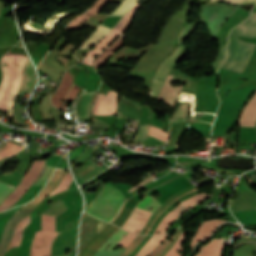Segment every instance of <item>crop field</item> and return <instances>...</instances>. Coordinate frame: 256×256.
<instances>
[{
	"label": "crop field",
	"instance_id": "1",
	"mask_svg": "<svg viewBox=\"0 0 256 256\" xmlns=\"http://www.w3.org/2000/svg\"><path fill=\"white\" fill-rule=\"evenodd\" d=\"M27 60L28 57L9 51L1 59L4 79L0 86V110L7 111L8 116L11 117L14 97L19 90L23 67ZM6 63L9 65L6 66Z\"/></svg>",
	"mask_w": 256,
	"mask_h": 256
},
{
	"label": "crop field",
	"instance_id": "2",
	"mask_svg": "<svg viewBox=\"0 0 256 256\" xmlns=\"http://www.w3.org/2000/svg\"><path fill=\"white\" fill-rule=\"evenodd\" d=\"M126 200V197L118 189L106 183L100 194L85 211L110 222L119 213Z\"/></svg>",
	"mask_w": 256,
	"mask_h": 256
},
{
	"label": "crop field",
	"instance_id": "3",
	"mask_svg": "<svg viewBox=\"0 0 256 256\" xmlns=\"http://www.w3.org/2000/svg\"><path fill=\"white\" fill-rule=\"evenodd\" d=\"M237 37L235 35L231 36L228 55L221 68L241 73L256 44L239 40Z\"/></svg>",
	"mask_w": 256,
	"mask_h": 256
},
{
	"label": "crop field",
	"instance_id": "4",
	"mask_svg": "<svg viewBox=\"0 0 256 256\" xmlns=\"http://www.w3.org/2000/svg\"><path fill=\"white\" fill-rule=\"evenodd\" d=\"M140 6L141 5L136 4L128 11L120 22L98 44L88 51L82 62L92 65L93 58L110 45L128 27L133 11Z\"/></svg>",
	"mask_w": 256,
	"mask_h": 256
},
{
	"label": "crop field",
	"instance_id": "5",
	"mask_svg": "<svg viewBox=\"0 0 256 256\" xmlns=\"http://www.w3.org/2000/svg\"><path fill=\"white\" fill-rule=\"evenodd\" d=\"M152 198L147 196L143 199L141 203L137 206L133 214L130 216V218L127 220V222L124 224L123 229L127 230L128 227L133 223V221L136 219L137 215L140 213V211L143 209V207L151 200ZM162 204L158 203L155 200H151L142 210L138 218L148 221L151 214ZM152 207V210L149 211V208ZM136 219L135 222L130 226L128 231L139 234L141 228L144 226L146 221ZM143 229V228H142Z\"/></svg>",
	"mask_w": 256,
	"mask_h": 256
},
{
	"label": "crop field",
	"instance_id": "6",
	"mask_svg": "<svg viewBox=\"0 0 256 256\" xmlns=\"http://www.w3.org/2000/svg\"><path fill=\"white\" fill-rule=\"evenodd\" d=\"M211 195H208L204 192L189 198L187 200H184L180 202L179 206L174 209L173 211L169 212L165 218L160 222V224L157 226L154 234H156L158 231H161L160 234H166L169 227L173 224V222L186 210L189 208L201 203L206 198L210 197Z\"/></svg>",
	"mask_w": 256,
	"mask_h": 256
},
{
	"label": "crop field",
	"instance_id": "7",
	"mask_svg": "<svg viewBox=\"0 0 256 256\" xmlns=\"http://www.w3.org/2000/svg\"><path fill=\"white\" fill-rule=\"evenodd\" d=\"M45 161H35L31 170L27 173L24 179L20 182L14 192L8 196L2 205H0V211L6 210L11 205L17 202V200L26 192L35 178L38 176L39 172L41 171Z\"/></svg>",
	"mask_w": 256,
	"mask_h": 256
},
{
	"label": "crop field",
	"instance_id": "8",
	"mask_svg": "<svg viewBox=\"0 0 256 256\" xmlns=\"http://www.w3.org/2000/svg\"><path fill=\"white\" fill-rule=\"evenodd\" d=\"M82 225H84L85 230H89V237H82ZM107 223L96 219L87 213H84L82 223H81V233H80V243H79V254L85 248L86 244L101 230ZM83 236H88V231H84ZM78 254V256H79Z\"/></svg>",
	"mask_w": 256,
	"mask_h": 256
},
{
	"label": "crop field",
	"instance_id": "9",
	"mask_svg": "<svg viewBox=\"0 0 256 256\" xmlns=\"http://www.w3.org/2000/svg\"><path fill=\"white\" fill-rule=\"evenodd\" d=\"M34 208L17 211L5 226L0 242V256H4L5 250L12 238L14 228L18 222L25 218Z\"/></svg>",
	"mask_w": 256,
	"mask_h": 256
},
{
	"label": "crop field",
	"instance_id": "10",
	"mask_svg": "<svg viewBox=\"0 0 256 256\" xmlns=\"http://www.w3.org/2000/svg\"><path fill=\"white\" fill-rule=\"evenodd\" d=\"M49 232L45 231H38L35 233L34 241L31 247V255L30 256H41V251L42 248L36 249L35 247L37 246H42L43 240L45 236ZM58 233H49L44 241L43 244V251H42V256H50V249H51V243L54 240Z\"/></svg>",
	"mask_w": 256,
	"mask_h": 256
},
{
	"label": "crop field",
	"instance_id": "11",
	"mask_svg": "<svg viewBox=\"0 0 256 256\" xmlns=\"http://www.w3.org/2000/svg\"><path fill=\"white\" fill-rule=\"evenodd\" d=\"M100 94L101 93L98 94L97 99L94 103V114L95 115H115V114H97ZM117 100H118V95L113 91H109L108 94L102 93L98 113H115Z\"/></svg>",
	"mask_w": 256,
	"mask_h": 256
},
{
	"label": "crop field",
	"instance_id": "12",
	"mask_svg": "<svg viewBox=\"0 0 256 256\" xmlns=\"http://www.w3.org/2000/svg\"><path fill=\"white\" fill-rule=\"evenodd\" d=\"M65 173L64 169H56L49 180V182L46 184V186L42 189V191L38 194V196L31 202L27 203L24 208L29 207H37V205L50 193V191L56 186L62 175ZM62 179V178H61ZM60 182V181H59ZM58 185V184H57Z\"/></svg>",
	"mask_w": 256,
	"mask_h": 256
},
{
	"label": "crop field",
	"instance_id": "13",
	"mask_svg": "<svg viewBox=\"0 0 256 256\" xmlns=\"http://www.w3.org/2000/svg\"><path fill=\"white\" fill-rule=\"evenodd\" d=\"M173 77L174 76L172 75H168L157 98V100H164L165 102H167L169 105H172V106L184 85L182 84L180 87H176V88L171 87L169 84L172 82Z\"/></svg>",
	"mask_w": 256,
	"mask_h": 256
},
{
	"label": "crop field",
	"instance_id": "14",
	"mask_svg": "<svg viewBox=\"0 0 256 256\" xmlns=\"http://www.w3.org/2000/svg\"><path fill=\"white\" fill-rule=\"evenodd\" d=\"M96 93H89L80 96L76 104V114L78 118H91V108Z\"/></svg>",
	"mask_w": 256,
	"mask_h": 256
},
{
	"label": "crop field",
	"instance_id": "15",
	"mask_svg": "<svg viewBox=\"0 0 256 256\" xmlns=\"http://www.w3.org/2000/svg\"><path fill=\"white\" fill-rule=\"evenodd\" d=\"M256 122V93L246 105L239 121V126L254 127Z\"/></svg>",
	"mask_w": 256,
	"mask_h": 256
},
{
	"label": "crop field",
	"instance_id": "16",
	"mask_svg": "<svg viewBox=\"0 0 256 256\" xmlns=\"http://www.w3.org/2000/svg\"><path fill=\"white\" fill-rule=\"evenodd\" d=\"M110 0H98L86 13L72 21L65 30L78 29L87 19L101 10Z\"/></svg>",
	"mask_w": 256,
	"mask_h": 256
},
{
	"label": "crop field",
	"instance_id": "17",
	"mask_svg": "<svg viewBox=\"0 0 256 256\" xmlns=\"http://www.w3.org/2000/svg\"><path fill=\"white\" fill-rule=\"evenodd\" d=\"M127 234V232L123 230L117 231L113 236H111L105 244L99 249L103 250L106 246L111 244L109 250L113 249V247ZM136 238V235L127 234L118 244L122 245L123 247H127L134 239Z\"/></svg>",
	"mask_w": 256,
	"mask_h": 256
},
{
	"label": "crop field",
	"instance_id": "18",
	"mask_svg": "<svg viewBox=\"0 0 256 256\" xmlns=\"http://www.w3.org/2000/svg\"><path fill=\"white\" fill-rule=\"evenodd\" d=\"M233 34L256 37V12L252 13L251 17L246 19L241 25H239Z\"/></svg>",
	"mask_w": 256,
	"mask_h": 256
},
{
	"label": "crop field",
	"instance_id": "19",
	"mask_svg": "<svg viewBox=\"0 0 256 256\" xmlns=\"http://www.w3.org/2000/svg\"><path fill=\"white\" fill-rule=\"evenodd\" d=\"M73 80L68 72V70L65 72L62 83L59 87V89L54 93V95L51 97V102L54 106L60 108L62 99L68 89L70 88Z\"/></svg>",
	"mask_w": 256,
	"mask_h": 256
},
{
	"label": "crop field",
	"instance_id": "20",
	"mask_svg": "<svg viewBox=\"0 0 256 256\" xmlns=\"http://www.w3.org/2000/svg\"><path fill=\"white\" fill-rule=\"evenodd\" d=\"M222 222H225V221L213 220V221L204 222L198 229L196 235L193 237L190 245L193 246L196 242L204 239Z\"/></svg>",
	"mask_w": 256,
	"mask_h": 256
},
{
	"label": "crop field",
	"instance_id": "21",
	"mask_svg": "<svg viewBox=\"0 0 256 256\" xmlns=\"http://www.w3.org/2000/svg\"><path fill=\"white\" fill-rule=\"evenodd\" d=\"M183 47L179 46L177 51L168 59L165 60V62L162 64L161 68L159 69L156 78L159 79H166V75L170 68L184 55L182 53Z\"/></svg>",
	"mask_w": 256,
	"mask_h": 256
},
{
	"label": "crop field",
	"instance_id": "22",
	"mask_svg": "<svg viewBox=\"0 0 256 256\" xmlns=\"http://www.w3.org/2000/svg\"><path fill=\"white\" fill-rule=\"evenodd\" d=\"M224 239H213L206 243L196 256H219Z\"/></svg>",
	"mask_w": 256,
	"mask_h": 256
},
{
	"label": "crop field",
	"instance_id": "23",
	"mask_svg": "<svg viewBox=\"0 0 256 256\" xmlns=\"http://www.w3.org/2000/svg\"><path fill=\"white\" fill-rule=\"evenodd\" d=\"M35 82H36L35 73L30 61L28 60V62L24 67V79L22 81L20 90L31 92Z\"/></svg>",
	"mask_w": 256,
	"mask_h": 256
},
{
	"label": "crop field",
	"instance_id": "24",
	"mask_svg": "<svg viewBox=\"0 0 256 256\" xmlns=\"http://www.w3.org/2000/svg\"><path fill=\"white\" fill-rule=\"evenodd\" d=\"M124 45L122 39H117L113 45L105 50L101 55L97 57L94 63V69L100 65H105L107 59L111 57L119 48Z\"/></svg>",
	"mask_w": 256,
	"mask_h": 256
},
{
	"label": "crop field",
	"instance_id": "25",
	"mask_svg": "<svg viewBox=\"0 0 256 256\" xmlns=\"http://www.w3.org/2000/svg\"><path fill=\"white\" fill-rule=\"evenodd\" d=\"M111 28L106 27L100 24L95 31L90 35V37L83 42L79 48L88 47L94 45L99 39H101L107 32H109Z\"/></svg>",
	"mask_w": 256,
	"mask_h": 256
},
{
	"label": "crop field",
	"instance_id": "26",
	"mask_svg": "<svg viewBox=\"0 0 256 256\" xmlns=\"http://www.w3.org/2000/svg\"><path fill=\"white\" fill-rule=\"evenodd\" d=\"M169 235V234H168ZM152 236L136 256H146L168 236Z\"/></svg>",
	"mask_w": 256,
	"mask_h": 256
},
{
	"label": "crop field",
	"instance_id": "27",
	"mask_svg": "<svg viewBox=\"0 0 256 256\" xmlns=\"http://www.w3.org/2000/svg\"><path fill=\"white\" fill-rule=\"evenodd\" d=\"M29 222H30V218L28 216L24 220H22L20 223H18V225L14 231L13 238H12L7 250H9L11 247L19 246L22 231L28 225Z\"/></svg>",
	"mask_w": 256,
	"mask_h": 256
},
{
	"label": "crop field",
	"instance_id": "28",
	"mask_svg": "<svg viewBox=\"0 0 256 256\" xmlns=\"http://www.w3.org/2000/svg\"><path fill=\"white\" fill-rule=\"evenodd\" d=\"M22 147L15 145L8 141L5 146L0 150V160L3 159L6 156H10L16 152H18Z\"/></svg>",
	"mask_w": 256,
	"mask_h": 256
},
{
	"label": "crop field",
	"instance_id": "29",
	"mask_svg": "<svg viewBox=\"0 0 256 256\" xmlns=\"http://www.w3.org/2000/svg\"><path fill=\"white\" fill-rule=\"evenodd\" d=\"M137 0H124L109 16H123Z\"/></svg>",
	"mask_w": 256,
	"mask_h": 256
},
{
	"label": "crop field",
	"instance_id": "30",
	"mask_svg": "<svg viewBox=\"0 0 256 256\" xmlns=\"http://www.w3.org/2000/svg\"><path fill=\"white\" fill-rule=\"evenodd\" d=\"M188 106L189 104H181L177 109V111L175 112V114L173 115L171 121H174V122L184 121L188 114V111H187Z\"/></svg>",
	"mask_w": 256,
	"mask_h": 256
},
{
	"label": "crop field",
	"instance_id": "31",
	"mask_svg": "<svg viewBox=\"0 0 256 256\" xmlns=\"http://www.w3.org/2000/svg\"><path fill=\"white\" fill-rule=\"evenodd\" d=\"M43 230L55 232L56 217L42 214Z\"/></svg>",
	"mask_w": 256,
	"mask_h": 256
},
{
	"label": "crop field",
	"instance_id": "32",
	"mask_svg": "<svg viewBox=\"0 0 256 256\" xmlns=\"http://www.w3.org/2000/svg\"><path fill=\"white\" fill-rule=\"evenodd\" d=\"M184 241V231L182 232V234L180 235V237L178 238V240L176 241L175 245L172 247V249L165 255V256H182V251H183V247H182V243ZM181 251V254H178V251Z\"/></svg>",
	"mask_w": 256,
	"mask_h": 256
},
{
	"label": "crop field",
	"instance_id": "33",
	"mask_svg": "<svg viewBox=\"0 0 256 256\" xmlns=\"http://www.w3.org/2000/svg\"><path fill=\"white\" fill-rule=\"evenodd\" d=\"M71 181H72V177L70 173L65 174L62 181L59 183L58 187L50 194V196L68 189Z\"/></svg>",
	"mask_w": 256,
	"mask_h": 256
},
{
	"label": "crop field",
	"instance_id": "34",
	"mask_svg": "<svg viewBox=\"0 0 256 256\" xmlns=\"http://www.w3.org/2000/svg\"><path fill=\"white\" fill-rule=\"evenodd\" d=\"M45 167H46V165L44 166V168L42 169L40 175L36 178V180L33 182L32 185H34L35 182L40 178V176L42 175V173H43ZM53 168H54V166L48 165L47 168H46V170H45V172H44V174H43V175L41 176V178L36 182L35 185H44L45 182L48 180V178H49V176H50V174H51ZM50 177H51V176H50Z\"/></svg>",
	"mask_w": 256,
	"mask_h": 256
},
{
	"label": "crop field",
	"instance_id": "35",
	"mask_svg": "<svg viewBox=\"0 0 256 256\" xmlns=\"http://www.w3.org/2000/svg\"><path fill=\"white\" fill-rule=\"evenodd\" d=\"M145 238V236H138L127 248L126 250L122 253L121 256H129L135 249L136 247L142 242V240Z\"/></svg>",
	"mask_w": 256,
	"mask_h": 256
},
{
	"label": "crop field",
	"instance_id": "36",
	"mask_svg": "<svg viewBox=\"0 0 256 256\" xmlns=\"http://www.w3.org/2000/svg\"><path fill=\"white\" fill-rule=\"evenodd\" d=\"M225 46H226V44H223V45L219 46L218 57L213 61L211 66H213V67H215L217 69L219 68L220 64L225 59Z\"/></svg>",
	"mask_w": 256,
	"mask_h": 256
},
{
	"label": "crop field",
	"instance_id": "37",
	"mask_svg": "<svg viewBox=\"0 0 256 256\" xmlns=\"http://www.w3.org/2000/svg\"><path fill=\"white\" fill-rule=\"evenodd\" d=\"M15 186L0 183V203L11 193Z\"/></svg>",
	"mask_w": 256,
	"mask_h": 256
},
{
	"label": "crop field",
	"instance_id": "38",
	"mask_svg": "<svg viewBox=\"0 0 256 256\" xmlns=\"http://www.w3.org/2000/svg\"><path fill=\"white\" fill-rule=\"evenodd\" d=\"M149 125H140L133 142H143Z\"/></svg>",
	"mask_w": 256,
	"mask_h": 256
},
{
	"label": "crop field",
	"instance_id": "39",
	"mask_svg": "<svg viewBox=\"0 0 256 256\" xmlns=\"http://www.w3.org/2000/svg\"><path fill=\"white\" fill-rule=\"evenodd\" d=\"M162 131H163V129H160V128L150 125L148 133L166 141L168 134L164 133Z\"/></svg>",
	"mask_w": 256,
	"mask_h": 256
},
{
	"label": "crop field",
	"instance_id": "40",
	"mask_svg": "<svg viewBox=\"0 0 256 256\" xmlns=\"http://www.w3.org/2000/svg\"><path fill=\"white\" fill-rule=\"evenodd\" d=\"M197 84H198L197 82H195V81H193V80L188 78V80H187V82H186V84H185V86H184L182 91L183 92H192V93L195 94Z\"/></svg>",
	"mask_w": 256,
	"mask_h": 256
},
{
	"label": "crop field",
	"instance_id": "41",
	"mask_svg": "<svg viewBox=\"0 0 256 256\" xmlns=\"http://www.w3.org/2000/svg\"><path fill=\"white\" fill-rule=\"evenodd\" d=\"M194 190H196V188H194V189H192V190H190V191H188V192H186V193H184V194H182V195L176 197V198L173 199L170 203H168V204L164 207V209L166 210L173 202H175L176 200L180 199L181 197L185 196L186 194H188V193H190V192H192V191H194ZM160 214H162V212H159V213L157 214L156 218L153 220V222L151 223L150 227L148 228L146 234H148V232L150 231V229L152 228V226L154 225V223L156 222V220L158 219V217H159Z\"/></svg>",
	"mask_w": 256,
	"mask_h": 256
},
{
	"label": "crop field",
	"instance_id": "42",
	"mask_svg": "<svg viewBox=\"0 0 256 256\" xmlns=\"http://www.w3.org/2000/svg\"><path fill=\"white\" fill-rule=\"evenodd\" d=\"M163 83H164V81H162V80H158V79L156 80V84L154 85V89L152 91V98L153 99L157 98V95H158Z\"/></svg>",
	"mask_w": 256,
	"mask_h": 256
},
{
	"label": "crop field",
	"instance_id": "43",
	"mask_svg": "<svg viewBox=\"0 0 256 256\" xmlns=\"http://www.w3.org/2000/svg\"><path fill=\"white\" fill-rule=\"evenodd\" d=\"M182 125H183V123L179 124L178 131H177L176 135H171L168 146H172V147L175 146L176 140H177V138H178V136H179V134L181 132Z\"/></svg>",
	"mask_w": 256,
	"mask_h": 256
},
{
	"label": "crop field",
	"instance_id": "44",
	"mask_svg": "<svg viewBox=\"0 0 256 256\" xmlns=\"http://www.w3.org/2000/svg\"><path fill=\"white\" fill-rule=\"evenodd\" d=\"M193 26H194V24L187 25V26L184 28L183 32L181 33L179 40H181V39L187 37V36L191 33Z\"/></svg>",
	"mask_w": 256,
	"mask_h": 256
},
{
	"label": "crop field",
	"instance_id": "45",
	"mask_svg": "<svg viewBox=\"0 0 256 256\" xmlns=\"http://www.w3.org/2000/svg\"><path fill=\"white\" fill-rule=\"evenodd\" d=\"M150 180H152L151 177H149V178H147V179H145V180L139 182L138 184H136L135 186H133L132 188H130V189L127 190V191H129V192L131 193V192L134 191L136 188H138V187L144 185L145 183L149 182Z\"/></svg>",
	"mask_w": 256,
	"mask_h": 256
},
{
	"label": "crop field",
	"instance_id": "46",
	"mask_svg": "<svg viewBox=\"0 0 256 256\" xmlns=\"http://www.w3.org/2000/svg\"><path fill=\"white\" fill-rule=\"evenodd\" d=\"M177 231H178V229L176 230V232H177ZM176 232H175L174 235L172 236L170 242H169L163 249H161L155 256H159V255L171 244V242H172V240H173V238H174Z\"/></svg>",
	"mask_w": 256,
	"mask_h": 256
},
{
	"label": "crop field",
	"instance_id": "47",
	"mask_svg": "<svg viewBox=\"0 0 256 256\" xmlns=\"http://www.w3.org/2000/svg\"><path fill=\"white\" fill-rule=\"evenodd\" d=\"M171 235L168 237V239L160 246L158 247L150 256H153L156 252H158L161 248L165 246L167 242H169Z\"/></svg>",
	"mask_w": 256,
	"mask_h": 256
},
{
	"label": "crop field",
	"instance_id": "48",
	"mask_svg": "<svg viewBox=\"0 0 256 256\" xmlns=\"http://www.w3.org/2000/svg\"><path fill=\"white\" fill-rule=\"evenodd\" d=\"M244 0H222V2H227V3H234V4H242Z\"/></svg>",
	"mask_w": 256,
	"mask_h": 256
},
{
	"label": "crop field",
	"instance_id": "49",
	"mask_svg": "<svg viewBox=\"0 0 256 256\" xmlns=\"http://www.w3.org/2000/svg\"><path fill=\"white\" fill-rule=\"evenodd\" d=\"M247 3H256V0H246L243 4H247Z\"/></svg>",
	"mask_w": 256,
	"mask_h": 256
},
{
	"label": "crop field",
	"instance_id": "50",
	"mask_svg": "<svg viewBox=\"0 0 256 256\" xmlns=\"http://www.w3.org/2000/svg\"><path fill=\"white\" fill-rule=\"evenodd\" d=\"M154 80H155V79H154ZM153 84H154V81H153V83H152V85H151V87H150V90H151V88H152Z\"/></svg>",
	"mask_w": 256,
	"mask_h": 256
},
{
	"label": "crop field",
	"instance_id": "51",
	"mask_svg": "<svg viewBox=\"0 0 256 256\" xmlns=\"http://www.w3.org/2000/svg\"><path fill=\"white\" fill-rule=\"evenodd\" d=\"M210 1H213V0H210Z\"/></svg>",
	"mask_w": 256,
	"mask_h": 256
}]
</instances>
